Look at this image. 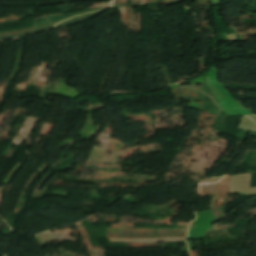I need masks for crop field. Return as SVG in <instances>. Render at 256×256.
Here are the masks:
<instances>
[{
  "instance_id": "2",
  "label": "crop field",
  "mask_w": 256,
  "mask_h": 256,
  "mask_svg": "<svg viewBox=\"0 0 256 256\" xmlns=\"http://www.w3.org/2000/svg\"><path fill=\"white\" fill-rule=\"evenodd\" d=\"M229 193H233V194L256 193V188H229Z\"/></svg>"
},
{
  "instance_id": "1",
  "label": "crop field",
  "mask_w": 256,
  "mask_h": 256,
  "mask_svg": "<svg viewBox=\"0 0 256 256\" xmlns=\"http://www.w3.org/2000/svg\"><path fill=\"white\" fill-rule=\"evenodd\" d=\"M251 174L230 177L229 187H249Z\"/></svg>"
}]
</instances>
